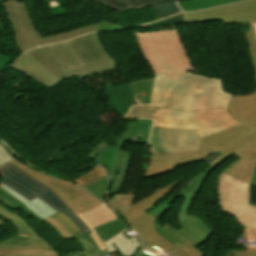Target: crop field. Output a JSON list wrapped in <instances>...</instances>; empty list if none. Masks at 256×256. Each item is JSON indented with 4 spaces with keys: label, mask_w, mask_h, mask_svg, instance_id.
<instances>
[{
    "label": "crop field",
    "mask_w": 256,
    "mask_h": 256,
    "mask_svg": "<svg viewBox=\"0 0 256 256\" xmlns=\"http://www.w3.org/2000/svg\"><path fill=\"white\" fill-rule=\"evenodd\" d=\"M231 97L222 92L220 80L187 72L172 85L160 105L192 111L142 105L132 107L124 118L146 117L158 126L199 128L201 139L241 125L227 111Z\"/></svg>",
    "instance_id": "1"
},
{
    "label": "crop field",
    "mask_w": 256,
    "mask_h": 256,
    "mask_svg": "<svg viewBox=\"0 0 256 256\" xmlns=\"http://www.w3.org/2000/svg\"><path fill=\"white\" fill-rule=\"evenodd\" d=\"M211 166L198 173L189 185L176 194L186 198L178 213V222L182 229L176 230L167 224L156 227V218L145 211L153 206L158 200L167 195L180 181L161 187L141 201L134 204L126 213L121 216L129 222L133 228L146 240L141 251L155 256L158 252L167 251L173 256H203L195 247L204 243L213 233L202 220L195 216L187 215L189 206L195 195L201 188Z\"/></svg>",
    "instance_id": "2"
},
{
    "label": "crop field",
    "mask_w": 256,
    "mask_h": 256,
    "mask_svg": "<svg viewBox=\"0 0 256 256\" xmlns=\"http://www.w3.org/2000/svg\"><path fill=\"white\" fill-rule=\"evenodd\" d=\"M10 68L49 89L68 77L77 75L83 79L117 66L95 33L27 51Z\"/></svg>",
    "instance_id": "3"
},
{
    "label": "crop field",
    "mask_w": 256,
    "mask_h": 256,
    "mask_svg": "<svg viewBox=\"0 0 256 256\" xmlns=\"http://www.w3.org/2000/svg\"><path fill=\"white\" fill-rule=\"evenodd\" d=\"M228 110L243 125L200 140V151L151 156L150 167L143 178L175 170L174 167L203 160L217 151L223 153L256 130V92L233 96Z\"/></svg>",
    "instance_id": "4"
},
{
    "label": "crop field",
    "mask_w": 256,
    "mask_h": 256,
    "mask_svg": "<svg viewBox=\"0 0 256 256\" xmlns=\"http://www.w3.org/2000/svg\"><path fill=\"white\" fill-rule=\"evenodd\" d=\"M138 45L154 75L165 73L174 81L194 70L182 47L176 27L173 31L136 32Z\"/></svg>",
    "instance_id": "5"
},
{
    "label": "crop field",
    "mask_w": 256,
    "mask_h": 256,
    "mask_svg": "<svg viewBox=\"0 0 256 256\" xmlns=\"http://www.w3.org/2000/svg\"><path fill=\"white\" fill-rule=\"evenodd\" d=\"M151 126L152 120L136 119L129 128L115 136L112 141L110 140V143L102 140L86 156L93 159L94 164H103L107 168L113 182L109 198L117 192L120 193L133 154L122 151V146L126 141L148 143Z\"/></svg>",
    "instance_id": "6"
},
{
    "label": "crop field",
    "mask_w": 256,
    "mask_h": 256,
    "mask_svg": "<svg viewBox=\"0 0 256 256\" xmlns=\"http://www.w3.org/2000/svg\"><path fill=\"white\" fill-rule=\"evenodd\" d=\"M219 203L246 230L241 238L256 240V206L249 205V184L226 173L219 176Z\"/></svg>",
    "instance_id": "7"
},
{
    "label": "crop field",
    "mask_w": 256,
    "mask_h": 256,
    "mask_svg": "<svg viewBox=\"0 0 256 256\" xmlns=\"http://www.w3.org/2000/svg\"><path fill=\"white\" fill-rule=\"evenodd\" d=\"M3 5L13 27L19 50L22 52L33 47L98 31V24H95L41 38L24 4L18 5L17 2L13 0Z\"/></svg>",
    "instance_id": "8"
},
{
    "label": "crop field",
    "mask_w": 256,
    "mask_h": 256,
    "mask_svg": "<svg viewBox=\"0 0 256 256\" xmlns=\"http://www.w3.org/2000/svg\"><path fill=\"white\" fill-rule=\"evenodd\" d=\"M0 177L6 185L29 201L38 197L56 211L63 212L85 235L90 233L82 221L48 187L34 180L9 162L0 166Z\"/></svg>",
    "instance_id": "9"
},
{
    "label": "crop field",
    "mask_w": 256,
    "mask_h": 256,
    "mask_svg": "<svg viewBox=\"0 0 256 256\" xmlns=\"http://www.w3.org/2000/svg\"><path fill=\"white\" fill-rule=\"evenodd\" d=\"M183 18V24L215 20H223L225 25L251 23L252 32L245 33V36L256 73V0L183 13Z\"/></svg>",
    "instance_id": "10"
},
{
    "label": "crop field",
    "mask_w": 256,
    "mask_h": 256,
    "mask_svg": "<svg viewBox=\"0 0 256 256\" xmlns=\"http://www.w3.org/2000/svg\"><path fill=\"white\" fill-rule=\"evenodd\" d=\"M2 161L4 163L7 161L11 162L17 168L29 174L34 179L49 186L76 215L102 204L99 200L75 183L44 175L12 156L2 159Z\"/></svg>",
    "instance_id": "11"
},
{
    "label": "crop field",
    "mask_w": 256,
    "mask_h": 256,
    "mask_svg": "<svg viewBox=\"0 0 256 256\" xmlns=\"http://www.w3.org/2000/svg\"><path fill=\"white\" fill-rule=\"evenodd\" d=\"M152 155L199 150L198 129L154 126L150 136Z\"/></svg>",
    "instance_id": "12"
},
{
    "label": "crop field",
    "mask_w": 256,
    "mask_h": 256,
    "mask_svg": "<svg viewBox=\"0 0 256 256\" xmlns=\"http://www.w3.org/2000/svg\"><path fill=\"white\" fill-rule=\"evenodd\" d=\"M0 202L7 206L9 209L21 210L27 216L33 218L38 222H42L43 220H45L59 233L63 240L71 238V236L64 229V227L55 219L50 217L57 212L40 199L37 198L29 202L1 182Z\"/></svg>",
    "instance_id": "13"
},
{
    "label": "crop field",
    "mask_w": 256,
    "mask_h": 256,
    "mask_svg": "<svg viewBox=\"0 0 256 256\" xmlns=\"http://www.w3.org/2000/svg\"><path fill=\"white\" fill-rule=\"evenodd\" d=\"M232 154L236 155L240 159L225 172L250 183L256 164V131L222 154L210 165L215 167Z\"/></svg>",
    "instance_id": "14"
},
{
    "label": "crop field",
    "mask_w": 256,
    "mask_h": 256,
    "mask_svg": "<svg viewBox=\"0 0 256 256\" xmlns=\"http://www.w3.org/2000/svg\"><path fill=\"white\" fill-rule=\"evenodd\" d=\"M0 256H58L40 239L0 245Z\"/></svg>",
    "instance_id": "15"
},
{
    "label": "crop field",
    "mask_w": 256,
    "mask_h": 256,
    "mask_svg": "<svg viewBox=\"0 0 256 256\" xmlns=\"http://www.w3.org/2000/svg\"><path fill=\"white\" fill-rule=\"evenodd\" d=\"M78 217L83 221V223L92 232L91 236L96 241L99 249L100 250L106 249L103 242L98 237V235L95 232L93 227L103 224L105 222L111 221L113 219H116L117 217H116L115 213L103 204L101 206H98L96 208H93L87 212H84V213L78 215Z\"/></svg>",
    "instance_id": "16"
},
{
    "label": "crop field",
    "mask_w": 256,
    "mask_h": 256,
    "mask_svg": "<svg viewBox=\"0 0 256 256\" xmlns=\"http://www.w3.org/2000/svg\"><path fill=\"white\" fill-rule=\"evenodd\" d=\"M102 88L122 116L128 112L131 106L136 105L127 83Z\"/></svg>",
    "instance_id": "17"
},
{
    "label": "crop field",
    "mask_w": 256,
    "mask_h": 256,
    "mask_svg": "<svg viewBox=\"0 0 256 256\" xmlns=\"http://www.w3.org/2000/svg\"><path fill=\"white\" fill-rule=\"evenodd\" d=\"M125 230H123L122 232H124ZM122 232L104 242L107 251H109V254L118 252L119 254H121V256H132L140 246L135 236L128 239L127 237L121 234ZM126 250H128V252H126Z\"/></svg>",
    "instance_id": "18"
},
{
    "label": "crop field",
    "mask_w": 256,
    "mask_h": 256,
    "mask_svg": "<svg viewBox=\"0 0 256 256\" xmlns=\"http://www.w3.org/2000/svg\"><path fill=\"white\" fill-rule=\"evenodd\" d=\"M153 79H142L128 82L137 104H149Z\"/></svg>",
    "instance_id": "19"
},
{
    "label": "crop field",
    "mask_w": 256,
    "mask_h": 256,
    "mask_svg": "<svg viewBox=\"0 0 256 256\" xmlns=\"http://www.w3.org/2000/svg\"><path fill=\"white\" fill-rule=\"evenodd\" d=\"M173 82L174 81L165 74L155 76L150 104L157 105L159 100L167 92Z\"/></svg>",
    "instance_id": "20"
},
{
    "label": "crop field",
    "mask_w": 256,
    "mask_h": 256,
    "mask_svg": "<svg viewBox=\"0 0 256 256\" xmlns=\"http://www.w3.org/2000/svg\"><path fill=\"white\" fill-rule=\"evenodd\" d=\"M127 227L129 226L121 218H119L114 221L95 227V230L104 242Z\"/></svg>",
    "instance_id": "21"
},
{
    "label": "crop field",
    "mask_w": 256,
    "mask_h": 256,
    "mask_svg": "<svg viewBox=\"0 0 256 256\" xmlns=\"http://www.w3.org/2000/svg\"><path fill=\"white\" fill-rule=\"evenodd\" d=\"M8 210V208L0 203V216L3 215L8 220H12L20 235L39 237L25 222L19 218V216L15 217ZM0 225H3L1 221Z\"/></svg>",
    "instance_id": "22"
},
{
    "label": "crop field",
    "mask_w": 256,
    "mask_h": 256,
    "mask_svg": "<svg viewBox=\"0 0 256 256\" xmlns=\"http://www.w3.org/2000/svg\"><path fill=\"white\" fill-rule=\"evenodd\" d=\"M239 0H191V1H180L178 5L183 11L197 10L212 6H217L229 2H234Z\"/></svg>",
    "instance_id": "23"
},
{
    "label": "crop field",
    "mask_w": 256,
    "mask_h": 256,
    "mask_svg": "<svg viewBox=\"0 0 256 256\" xmlns=\"http://www.w3.org/2000/svg\"><path fill=\"white\" fill-rule=\"evenodd\" d=\"M106 176L105 170L99 167H94L91 171L73 181L84 188Z\"/></svg>",
    "instance_id": "24"
},
{
    "label": "crop field",
    "mask_w": 256,
    "mask_h": 256,
    "mask_svg": "<svg viewBox=\"0 0 256 256\" xmlns=\"http://www.w3.org/2000/svg\"><path fill=\"white\" fill-rule=\"evenodd\" d=\"M133 196H134V193L116 195V196H113L109 202L114 206V208L118 211V213L121 214L127 211L132 206Z\"/></svg>",
    "instance_id": "25"
},
{
    "label": "crop field",
    "mask_w": 256,
    "mask_h": 256,
    "mask_svg": "<svg viewBox=\"0 0 256 256\" xmlns=\"http://www.w3.org/2000/svg\"><path fill=\"white\" fill-rule=\"evenodd\" d=\"M12 155L13 157L19 159L20 161L26 163L27 165H29L30 167L46 174V172L42 171L41 169L31 165L30 163H28L25 159H23L21 156H19L14 149L11 147V145L9 143H7L4 139L0 138V159L8 157ZM0 164H3V162L0 160ZM25 164V165H26Z\"/></svg>",
    "instance_id": "26"
},
{
    "label": "crop field",
    "mask_w": 256,
    "mask_h": 256,
    "mask_svg": "<svg viewBox=\"0 0 256 256\" xmlns=\"http://www.w3.org/2000/svg\"><path fill=\"white\" fill-rule=\"evenodd\" d=\"M86 190H88L90 193L98 197L100 200L105 202V193L108 189V179L107 177L86 187Z\"/></svg>",
    "instance_id": "27"
},
{
    "label": "crop field",
    "mask_w": 256,
    "mask_h": 256,
    "mask_svg": "<svg viewBox=\"0 0 256 256\" xmlns=\"http://www.w3.org/2000/svg\"><path fill=\"white\" fill-rule=\"evenodd\" d=\"M52 217L58 220L66 228V230L70 233L71 236L74 234L81 233L79 229L61 212Z\"/></svg>",
    "instance_id": "28"
},
{
    "label": "crop field",
    "mask_w": 256,
    "mask_h": 256,
    "mask_svg": "<svg viewBox=\"0 0 256 256\" xmlns=\"http://www.w3.org/2000/svg\"><path fill=\"white\" fill-rule=\"evenodd\" d=\"M178 195H174L172 196L170 199H168L167 201L163 202L162 204H160L157 208H155L153 211L149 212L150 214H153L157 217H160L167 209L170 208L169 204H171L175 199H177Z\"/></svg>",
    "instance_id": "29"
},
{
    "label": "crop field",
    "mask_w": 256,
    "mask_h": 256,
    "mask_svg": "<svg viewBox=\"0 0 256 256\" xmlns=\"http://www.w3.org/2000/svg\"><path fill=\"white\" fill-rule=\"evenodd\" d=\"M74 237L78 240V242L81 244V246L83 247V249L85 251H87V250H96L93 243L91 242V240L88 238L87 235L84 236L81 233L79 235H75Z\"/></svg>",
    "instance_id": "30"
},
{
    "label": "crop field",
    "mask_w": 256,
    "mask_h": 256,
    "mask_svg": "<svg viewBox=\"0 0 256 256\" xmlns=\"http://www.w3.org/2000/svg\"><path fill=\"white\" fill-rule=\"evenodd\" d=\"M226 256H256V248L248 247L247 250H231Z\"/></svg>",
    "instance_id": "31"
},
{
    "label": "crop field",
    "mask_w": 256,
    "mask_h": 256,
    "mask_svg": "<svg viewBox=\"0 0 256 256\" xmlns=\"http://www.w3.org/2000/svg\"><path fill=\"white\" fill-rule=\"evenodd\" d=\"M11 57L0 53V72L4 69L5 65L11 61Z\"/></svg>",
    "instance_id": "32"
},
{
    "label": "crop field",
    "mask_w": 256,
    "mask_h": 256,
    "mask_svg": "<svg viewBox=\"0 0 256 256\" xmlns=\"http://www.w3.org/2000/svg\"><path fill=\"white\" fill-rule=\"evenodd\" d=\"M30 239V237H21V236H16L15 238H12L10 240L4 241L0 244H4V243H10V242H16V241H22V240H27Z\"/></svg>",
    "instance_id": "33"
},
{
    "label": "crop field",
    "mask_w": 256,
    "mask_h": 256,
    "mask_svg": "<svg viewBox=\"0 0 256 256\" xmlns=\"http://www.w3.org/2000/svg\"><path fill=\"white\" fill-rule=\"evenodd\" d=\"M108 25H109V29H110V30H119V29H123V26H122L121 24L108 22Z\"/></svg>",
    "instance_id": "34"
},
{
    "label": "crop field",
    "mask_w": 256,
    "mask_h": 256,
    "mask_svg": "<svg viewBox=\"0 0 256 256\" xmlns=\"http://www.w3.org/2000/svg\"><path fill=\"white\" fill-rule=\"evenodd\" d=\"M251 182L256 184V168H255V171L253 173Z\"/></svg>",
    "instance_id": "35"
}]
</instances>
